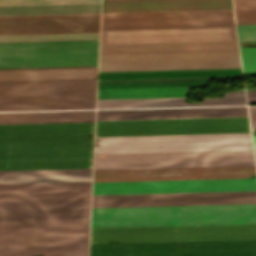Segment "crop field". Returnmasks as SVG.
Listing matches in <instances>:
<instances>
[{
    "mask_svg": "<svg viewBox=\"0 0 256 256\" xmlns=\"http://www.w3.org/2000/svg\"><path fill=\"white\" fill-rule=\"evenodd\" d=\"M255 166L94 170L93 182L240 178ZM93 194L256 190V178L93 183ZM256 203V191L93 195L92 208Z\"/></svg>",
    "mask_w": 256,
    "mask_h": 256,
    "instance_id": "8a807250",
    "label": "crop field"
},
{
    "mask_svg": "<svg viewBox=\"0 0 256 256\" xmlns=\"http://www.w3.org/2000/svg\"><path fill=\"white\" fill-rule=\"evenodd\" d=\"M89 202L90 197L1 199L0 255L87 253Z\"/></svg>",
    "mask_w": 256,
    "mask_h": 256,
    "instance_id": "ac0d7876",
    "label": "crop field"
},
{
    "mask_svg": "<svg viewBox=\"0 0 256 256\" xmlns=\"http://www.w3.org/2000/svg\"><path fill=\"white\" fill-rule=\"evenodd\" d=\"M240 67L236 40L100 44L99 71Z\"/></svg>",
    "mask_w": 256,
    "mask_h": 256,
    "instance_id": "34b2d1b8",
    "label": "crop field"
},
{
    "mask_svg": "<svg viewBox=\"0 0 256 256\" xmlns=\"http://www.w3.org/2000/svg\"><path fill=\"white\" fill-rule=\"evenodd\" d=\"M234 23L232 10L102 14L101 27ZM236 39L234 24L101 28L100 43Z\"/></svg>",
    "mask_w": 256,
    "mask_h": 256,
    "instance_id": "412701ff",
    "label": "crop field"
},
{
    "mask_svg": "<svg viewBox=\"0 0 256 256\" xmlns=\"http://www.w3.org/2000/svg\"><path fill=\"white\" fill-rule=\"evenodd\" d=\"M98 40L0 43V68L97 65Z\"/></svg>",
    "mask_w": 256,
    "mask_h": 256,
    "instance_id": "f4fd0767",
    "label": "crop field"
},
{
    "mask_svg": "<svg viewBox=\"0 0 256 256\" xmlns=\"http://www.w3.org/2000/svg\"><path fill=\"white\" fill-rule=\"evenodd\" d=\"M252 149L250 133L96 137L95 153Z\"/></svg>",
    "mask_w": 256,
    "mask_h": 256,
    "instance_id": "dd49c442",
    "label": "crop field"
},
{
    "mask_svg": "<svg viewBox=\"0 0 256 256\" xmlns=\"http://www.w3.org/2000/svg\"><path fill=\"white\" fill-rule=\"evenodd\" d=\"M254 159L252 150L95 154L94 163ZM255 165L254 160L94 164V169Z\"/></svg>",
    "mask_w": 256,
    "mask_h": 256,
    "instance_id": "e52e79f7",
    "label": "crop field"
},
{
    "mask_svg": "<svg viewBox=\"0 0 256 256\" xmlns=\"http://www.w3.org/2000/svg\"><path fill=\"white\" fill-rule=\"evenodd\" d=\"M235 77H242L240 68L99 72L98 88L207 86Z\"/></svg>",
    "mask_w": 256,
    "mask_h": 256,
    "instance_id": "d8731c3e",
    "label": "crop field"
},
{
    "mask_svg": "<svg viewBox=\"0 0 256 256\" xmlns=\"http://www.w3.org/2000/svg\"><path fill=\"white\" fill-rule=\"evenodd\" d=\"M96 87L0 90V94L95 91ZM95 92L0 95V111L95 108Z\"/></svg>",
    "mask_w": 256,
    "mask_h": 256,
    "instance_id": "5a996713",
    "label": "crop field"
},
{
    "mask_svg": "<svg viewBox=\"0 0 256 256\" xmlns=\"http://www.w3.org/2000/svg\"><path fill=\"white\" fill-rule=\"evenodd\" d=\"M82 15H98V23H97V16H80V15H46V16H80V17L9 16V17H44V18L0 17V18H9V19H0V33L96 30V23H97V31L8 33V34H0V35L99 32L100 14H82Z\"/></svg>",
    "mask_w": 256,
    "mask_h": 256,
    "instance_id": "3316defc",
    "label": "crop field"
},
{
    "mask_svg": "<svg viewBox=\"0 0 256 256\" xmlns=\"http://www.w3.org/2000/svg\"><path fill=\"white\" fill-rule=\"evenodd\" d=\"M232 9L231 0H103L102 13Z\"/></svg>",
    "mask_w": 256,
    "mask_h": 256,
    "instance_id": "28ad6ade",
    "label": "crop field"
},
{
    "mask_svg": "<svg viewBox=\"0 0 256 256\" xmlns=\"http://www.w3.org/2000/svg\"><path fill=\"white\" fill-rule=\"evenodd\" d=\"M185 100L186 97L98 100L97 109L245 105V101H223L245 100L243 90L225 93L223 98L203 99V101L223 102L185 104Z\"/></svg>",
    "mask_w": 256,
    "mask_h": 256,
    "instance_id": "d1516ede",
    "label": "crop field"
},
{
    "mask_svg": "<svg viewBox=\"0 0 256 256\" xmlns=\"http://www.w3.org/2000/svg\"><path fill=\"white\" fill-rule=\"evenodd\" d=\"M91 182L0 184L1 198L90 196Z\"/></svg>",
    "mask_w": 256,
    "mask_h": 256,
    "instance_id": "22f410ed",
    "label": "crop field"
},
{
    "mask_svg": "<svg viewBox=\"0 0 256 256\" xmlns=\"http://www.w3.org/2000/svg\"><path fill=\"white\" fill-rule=\"evenodd\" d=\"M97 67L0 70V82L96 79Z\"/></svg>",
    "mask_w": 256,
    "mask_h": 256,
    "instance_id": "cbeb9de0",
    "label": "crop field"
},
{
    "mask_svg": "<svg viewBox=\"0 0 256 256\" xmlns=\"http://www.w3.org/2000/svg\"><path fill=\"white\" fill-rule=\"evenodd\" d=\"M76 121H94V111L0 113V124Z\"/></svg>",
    "mask_w": 256,
    "mask_h": 256,
    "instance_id": "5142ce71",
    "label": "crop field"
},
{
    "mask_svg": "<svg viewBox=\"0 0 256 256\" xmlns=\"http://www.w3.org/2000/svg\"><path fill=\"white\" fill-rule=\"evenodd\" d=\"M100 13V4L0 7V16Z\"/></svg>",
    "mask_w": 256,
    "mask_h": 256,
    "instance_id": "d9b57169",
    "label": "crop field"
},
{
    "mask_svg": "<svg viewBox=\"0 0 256 256\" xmlns=\"http://www.w3.org/2000/svg\"><path fill=\"white\" fill-rule=\"evenodd\" d=\"M188 87L98 89V99L186 96Z\"/></svg>",
    "mask_w": 256,
    "mask_h": 256,
    "instance_id": "733c2abd",
    "label": "crop field"
},
{
    "mask_svg": "<svg viewBox=\"0 0 256 256\" xmlns=\"http://www.w3.org/2000/svg\"><path fill=\"white\" fill-rule=\"evenodd\" d=\"M91 181V174L0 176V183Z\"/></svg>",
    "mask_w": 256,
    "mask_h": 256,
    "instance_id": "4a817a6b",
    "label": "crop field"
},
{
    "mask_svg": "<svg viewBox=\"0 0 256 256\" xmlns=\"http://www.w3.org/2000/svg\"><path fill=\"white\" fill-rule=\"evenodd\" d=\"M98 36H99V33L9 35V36H0V42L98 39Z\"/></svg>",
    "mask_w": 256,
    "mask_h": 256,
    "instance_id": "bc2a9ffb",
    "label": "crop field"
},
{
    "mask_svg": "<svg viewBox=\"0 0 256 256\" xmlns=\"http://www.w3.org/2000/svg\"><path fill=\"white\" fill-rule=\"evenodd\" d=\"M96 86V80L0 83V89Z\"/></svg>",
    "mask_w": 256,
    "mask_h": 256,
    "instance_id": "214f88e0",
    "label": "crop field"
},
{
    "mask_svg": "<svg viewBox=\"0 0 256 256\" xmlns=\"http://www.w3.org/2000/svg\"><path fill=\"white\" fill-rule=\"evenodd\" d=\"M100 3V0H0V6Z\"/></svg>",
    "mask_w": 256,
    "mask_h": 256,
    "instance_id": "92a150f3",
    "label": "crop field"
},
{
    "mask_svg": "<svg viewBox=\"0 0 256 256\" xmlns=\"http://www.w3.org/2000/svg\"><path fill=\"white\" fill-rule=\"evenodd\" d=\"M244 75L256 74V48H240Z\"/></svg>",
    "mask_w": 256,
    "mask_h": 256,
    "instance_id": "dafd665d",
    "label": "crop field"
},
{
    "mask_svg": "<svg viewBox=\"0 0 256 256\" xmlns=\"http://www.w3.org/2000/svg\"><path fill=\"white\" fill-rule=\"evenodd\" d=\"M72 173H91V169L0 171V175L72 174Z\"/></svg>",
    "mask_w": 256,
    "mask_h": 256,
    "instance_id": "00972430",
    "label": "crop field"
},
{
    "mask_svg": "<svg viewBox=\"0 0 256 256\" xmlns=\"http://www.w3.org/2000/svg\"><path fill=\"white\" fill-rule=\"evenodd\" d=\"M239 41H256V24L236 25Z\"/></svg>",
    "mask_w": 256,
    "mask_h": 256,
    "instance_id": "a9b5d70f",
    "label": "crop field"
},
{
    "mask_svg": "<svg viewBox=\"0 0 256 256\" xmlns=\"http://www.w3.org/2000/svg\"><path fill=\"white\" fill-rule=\"evenodd\" d=\"M236 24L256 23V9L234 10Z\"/></svg>",
    "mask_w": 256,
    "mask_h": 256,
    "instance_id": "4177f3b9",
    "label": "crop field"
},
{
    "mask_svg": "<svg viewBox=\"0 0 256 256\" xmlns=\"http://www.w3.org/2000/svg\"><path fill=\"white\" fill-rule=\"evenodd\" d=\"M234 9L256 8V0H233Z\"/></svg>",
    "mask_w": 256,
    "mask_h": 256,
    "instance_id": "730fd06b",
    "label": "crop field"
},
{
    "mask_svg": "<svg viewBox=\"0 0 256 256\" xmlns=\"http://www.w3.org/2000/svg\"><path fill=\"white\" fill-rule=\"evenodd\" d=\"M252 128H256V107H248Z\"/></svg>",
    "mask_w": 256,
    "mask_h": 256,
    "instance_id": "eef30255",
    "label": "crop field"
},
{
    "mask_svg": "<svg viewBox=\"0 0 256 256\" xmlns=\"http://www.w3.org/2000/svg\"><path fill=\"white\" fill-rule=\"evenodd\" d=\"M253 139H254V147H255V150H256V136H253Z\"/></svg>",
    "mask_w": 256,
    "mask_h": 256,
    "instance_id": "ae1a2a85",
    "label": "crop field"
},
{
    "mask_svg": "<svg viewBox=\"0 0 256 256\" xmlns=\"http://www.w3.org/2000/svg\"><path fill=\"white\" fill-rule=\"evenodd\" d=\"M253 135H256V129H252Z\"/></svg>",
    "mask_w": 256,
    "mask_h": 256,
    "instance_id": "d3111659",
    "label": "crop field"
},
{
    "mask_svg": "<svg viewBox=\"0 0 256 256\" xmlns=\"http://www.w3.org/2000/svg\"><path fill=\"white\" fill-rule=\"evenodd\" d=\"M255 154H256V151H255Z\"/></svg>",
    "mask_w": 256,
    "mask_h": 256,
    "instance_id": "750c4746",
    "label": "crop field"
}]
</instances>
